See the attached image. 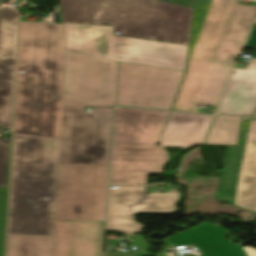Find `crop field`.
Masks as SVG:
<instances>
[{
    "mask_svg": "<svg viewBox=\"0 0 256 256\" xmlns=\"http://www.w3.org/2000/svg\"><path fill=\"white\" fill-rule=\"evenodd\" d=\"M58 145L14 135L8 233L53 236Z\"/></svg>",
    "mask_w": 256,
    "mask_h": 256,
    "instance_id": "ac0d7876",
    "label": "crop field"
},
{
    "mask_svg": "<svg viewBox=\"0 0 256 256\" xmlns=\"http://www.w3.org/2000/svg\"><path fill=\"white\" fill-rule=\"evenodd\" d=\"M241 117L217 115L205 144H235Z\"/></svg>",
    "mask_w": 256,
    "mask_h": 256,
    "instance_id": "dafd665d",
    "label": "crop field"
},
{
    "mask_svg": "<svg viewBox=\"0 0 256 256\" xmlns=\"http://www.w3.org/2000/svg\"><path fill=\"white\" fill-rule=\"evenodd\" d=\"M104 222L55 221L53 256H103Z\"/></svg>",
    "mask_w": 256,
    "mask_h": 256,
    "instance_id": "cbeb9de0",
    "label": "crop field"
},
{
    "mask_svg": "<svg viewBox=\"0 0 256 256\" xmlns=\"http://www.w3.org/2000/svg\"><path fill=\"white\" fill-rule=\"evenodd\" d=\"M5 194L6 188H0V256L3 249Z\"/></svg>",
    "mask_w": 256,
    "mask_h": 256,
    "instance_id": "a9b5d70f",
    "label": "crop field"
},
{
    "mask_svg": "<svg viewBox=\"0 0 256 256\" xmlns=\"http://www.w3.org/2000/svg\"><path fill=\"white\" fill-rule=\"evenodd\" d=\"M108 165H59L55 220L104 221Z\"/></svg>",
    "mask_w": 256,
    "mask_h": 256,
    "instance_id": "e52e79f7",
    "label": "crop field"
},
{
    "mask_svg": "<svg viewBox=\"0 0 256 256\" xmlns=\"http://www.w3.org/2000/svg\"><path fill=\"white\" fill-rule=\"evenodd\" d=\"M18 12L0 8V125L11 128Z\"/></svg>",
    "mask_w": 256,
    "mask_h": 256,
    "instance_id": "22f410ed",
    "label": "crop field"
},
{
    "mask_svg": "<svg viewBox=\"0 0 256 256\" xmlns=\"http://www.w3.org/2000/svg\"><path fill=\"white\" fill-rule=\"evenodd\" d=\"M9 138H0V187L7 185Z\"/></svg>",
    "mask_w": 256,
    "mask_h": 256,
    "instance_id": "00972430",
    "label": "crop field"
},
{
    "mask_svg": "<svg viewBox=\"0 0 256 256\" xmlns=\"http://www.w3.org/2000/svg\"><path fill=\"white\" fill-rule=\"evenodd\" d=\"M53 237L8 234L7 256H52Z\"/></svg>",
    "mask_w": 256,
    "mask_h": 256,
    "instance_id": "92a150f3",
    "label": "crop field"
},
{
    "mask_svg": "<svg viewBox=\"0 0 256 256\" xmlns=\"http://www.w3.org/2000/svg\"><path fill=\"white\" fill-rule=\"evenodd\" d=\"M226 231L204 222L165 239L173 246L192 244L203 256H247L237 244L223 237Z\"/></svg>",
    "mask_w": 256,
    "mask_h": 256,
    "instance_id": "5142ce71",
    "label": "crop field"
},
{
    "mask_svg": "<svg viewBox=\"0 0 256 256\" xmlns=\"http://www.w3.org/2000/svg\"><path fill=\"white\" fill-rule=\"evenodd\" d=\"M213 116L171 112L159 144L187 148L201 144Z\"/></svg>",
    "mask_w": 256,
    "mask_h": 256,
    "instance_id": "4a817a6b",
    "label": "crop field"
},
{
    "mask_svg": "<svg viewBox=\"0 0 256 256\" xmlns=\"http://www.w3.org/2000/svg\"><path fill=\"white\" fill-rule=\"evenodd\" d=\"M234 205L256 212V119H251Z\"/></svg>",
    "mask_w": 256,
    "mask_h": 256,
    "instance_id": "bc2a9ffb",
    "label": "crop field"
},
{
    "mask_svg": "<svg viewBox=\"0 0 256 256\" xmlns=\"http://www.w3.org/2000/svg\"><path fill=\"white\" fill-rule=\"evenodd\" d=\"M246 47L256 48V23L253 27V30H252L251 34H250V37L248 39ZM252 57H256V50H255Z\"/></svg>",
    "mask_w": 256,
    "mask_h": 256,
    "instance_id": "730fd06b",
    "label": "crop field"
},
{
    "mask_svg": "<svg viewBox=\"0 0 256 256\" xmlns=\"http://www.w3.org/2000/svg\"><path fill=\"white\" fill-rule=\"evenodd\" d=\"M242 248L246 251L248 256H256V250L255 249L250 248L248 246H245V247H242Z\"/></svg>",
    "mask_w": 256,
    "mask_h": 256,
    "instance_id": "eef30255",
    "label": "crop field"
},
{
    "mask_svg": "<svg viewBox=\"0 0 256 256\" xmlns=\"http://www.w3.org/2000/svg\"><path fill=\"white\" fill-rule=\"evenodd\" d=\"M66 48L116 61L112 27L63 23Z\"/></svg>",
    "mask_w": 256,
    "mask_h": 256,
    "instance_id": "733c2abd",
    "label": "crop field"
},
{
    "mask_svg": "<svg viewBox=\"0 0 256 256\" xmlns=\"http://www.w3.org/2000/svg\"><path fill=\"white\" fill-rule=\"evenodd\" d=\"M63 22L113 25L119 36L188 45L193 10L152 0H60Z\"/></svg>",
    "mask_w": 256,
    "mask_h": 256,
    "instance_id": "34b2d1b8",
    "label": "crop field"
},
{
    "mask_svg": "<svg viewBox=\"0 0 256 256\" xmlns=\"http://www.w3.org/2000/svg\"><path fill=\"white\" fill-rule=\"evenodd\" d=\"M254 117H256V113H255Z\"/></svg>",
    "mask_w": 256,
    "mask_h": 256,
    "instance_id": "d3111659",
    "label": "crop field"
},
{
    "mask_svg": "<svg viewBox=\"0 0 256 256\" xmlns=\"http://www.w3.org/2000/svg\"><path fill=\"white\" fill-rule=\"evenodd\" d=\"M117 62L66 51L62 107L114 106Z\"/></svg>",
    "mask_w": 256,
    "mask_h": 256,
    "instance_id": "d8731c3e",
    "label": "crop field"
},
{
    "mask_svg": "<svg viewBox=\"0 0 256 256\" xmlns=\"http://www.w3.org/2000/svg\"><path fill=\"white\" fill-rule=\"evenodd\" d=\"M64 61L62 24L20 22L14 134L59 138Z\"/></svg>",
    "mask_w": 256,
    "mask_h": 256,
    "instance_id": "8a807250",
    "label": "crop field"
},
{
    "mask_svg": "<svg viewBox=\"0 0 256 256\" xmlns=\"http://www.w3.org/2000/svg\"><path fill=\"white\" fill-rule=\"evenodd\" d=\"M231 65L189 60L172 110L197 112L195 105L217 106Z\"/></svg>",
    "mask_w": 256,
    "mask_h": 256,
    "instance_id": "28ad6ade",
    "label": "crop field"
},
{
    "mask_svg": "<svg viewBox=\"0 0 256 256\" xmlns=\"http://www.w3.org/2000/svg\"><path fill=\"white\" fill-rule=\"evenodd\" d=\"M164 3H169L177 6L193 9L194 0H156Z\"/></svg>",
    "mask_w": 256,
    "mask_h": 256,
    "instance_id": "4177f3b9",
    "label": "crop field"
},
{
    "mask_svg": "<svg viewBox=\"0 0 256 256\" xmlns=\"http://www.w3.org/2000/svg\"><path fill=\"white\" fill-rule=\"evenodd\" d=\"M169 112L116 108L110 185L146 186L168 160L157 145Z\"/></svg>",
    "mask_w": 256,
    "mask_h": 256,
    "instance_id": "412701ff",
    "label": "crop field"
},
{
    "mask_svg": "<svg viewBox=\"0 0 256 256\" xmlns=\"http://www.w3.org/2000/svg\"><path fill=\"white\" fill-rule=\"evenodd\" d=\"M67 50V49H66ZM71 51V50H70ZM86 55H88V54H86ZM89 56H93V55H89Z\"/></svg>",
    "mask_w": 256,
    "mask_h": 256,
    "instance_id": "ae1a2a85",
    "label": "crop field"
},
{
    "mask_svg": "<svg viewBox=\"0 0 256 256\" xmlns=\"http://www.w3.org/2000/svg\"><path fill=\"white\" fill-rule=\"evenodd\" d=\"M117 61L184 71L188 46L114 36Z\"/></svg>",
    "mask_w": 256,
    "mask_h": 256,
    "instance_id": "d1516ede",
    "label": "crop field"
},
{
    "mask_svg": "<svg viewBox=\"0 0 256 256\" xmlns=\"http://www.w3.org/2000/svg\"><path fill=\"white\" fill-rule=\"evenodd\" d=\"M146 187H119L110 189L106 231L140 233L144 226L135 222L134 213H174L179 191L149 193Z\"/></svg>",
    "mask_w": 256,
    "mask_h": 256,
    "instance_id": "3316defc",
    "label": "crop field"
},
{
    "mask_svg": "<svg viewBox=\"0 0 256 256\" xmlns=\"http://www.w3.org/2000/svg\"><path fill=\"white\" fill-rule=\"evenodd\" d=\"M248 120H243L242 131L238 146H227L223 171L221 176L218 200L232 204L239 175V168L244 149V142L248 128Z\"/></svg>",
    "mask_w": 256,
    "mask_h": 256,
    "instance_id": "214f88e0",
    "label": "crop field"
},
{
    "mask_svg": "<svg viewBox=\"0 0 256 256\" xmlns=\"http://www.w3.org/2000/svg\"><path fill=\"white\" fill-rule=\"evenodd\" d=\"M112 108H62L59 164H108Z\"/></svg>",
    "mask_w": 256,
    "mask_h": 256,
    "instance_id": "dd49c442",
    "label": "crop field"
},
{
    "mask_svg": "<svg viewBox=\"0 0 256 256\" xmlns=\"http://www.w3.org/2000/svg\"><path fill=\"white\" fill-rule=\"evenodd\" d=\"M256 108V59L235 68L217 112L252 116Z\"/></svg>",
    "mask_w": 256,
    "mask_h": 256,
    "instance_id": "d9b57169",
    "label": "crop field"
},
{
    "mask_svg": "<svg viewBox=\"0 0 256 256\" xmlns=\"http://www.w3.org/2000/svg\"><path fill=\"white\" fill-rule=\"evenodd\" d=\"M195 0L188 58L233 63L241 52L256 6Z\"/></svg>",
    "mask_w": 256,
    "mask_h": 256,
    "instance_id": "f4fd0767",
    "label": "crop field"
},
{
    "mask_svg": "<svg viewBox=\"0 0 256 256\" xmlns=\"http://www.w3.org/2000/svg\"><path fill=\"white\" fill-rule=\"evenodd\" d=\"M183 75L118 62L116 105L170 110Z\"/></svg>",
    "mask_w": 256,
    "mask_h": 256,
    "instance_id": "5a996713",
    "label": "crop field"
}]
</instances>
